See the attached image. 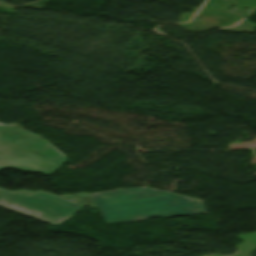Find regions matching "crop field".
Masks as SVG:
<instances>
[{
    "label": "crop field",
    "mask_w": 256,
    "mask_h": 256,
    "mask_svg": "<svg viewBox=\"0 0 256 256\" xmlns=\"http://www.w3.org/2000/svg\"><path fill=\"white\" fill-rule=\"evenodd\" d=\"M66 161L65 155L42 136H34L16 124L0 123V170L14 167L49 175Z\"/></svg>",
    "instance_id": "ac0d7876"
},
{
    "label": "crop field",
    "mask_w": 256,
    "mask_h": 256,
    "mask_svg": "<svg viewBox=\"0 0 256 256\" xmlns=\"http://www.w3.org/2000/svg\"><path fill=\"white\" fill-rule=\"evenodd\" d=\"M107 224L205 213L200 200L146 187L90 194Z\"/></svg>",
    "instance_id": "8a807250"
},
{
    "label": "crop field",
    "mask_w": 256,
    "mask_h": 256,
    "mask_svg": "<svg viewBox=\"0 0 256 256\" xmlns=\"http://www.w3.org/2000/svg\"><path fill=\"white\" fill-rule=\"evenodd\" d=\"M64 197L72 200L73 198H79L81 200L79 202L84 204L80 205L43 191H7L0 189L1 206L53 225L61 224L85 204L95 207L88 193H78Z\"/></svg>",
    "instance_id": "34b2d1b8"
}]
</instances>
